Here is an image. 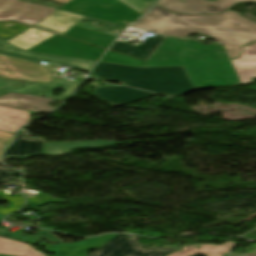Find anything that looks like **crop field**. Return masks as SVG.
<instances>
[{
  "mask_svg": "<svg viewBox=\"0 0 256 256\" xmlns=\"http://www.w3.org/2000/svg\"><path fill=\"white\" fill-rule=\"evenodd\" d=\"M140 21L141 24L132 27L175 37L202 33L214 37L224 46L242 47L256 41V23L231 11L208 16L172 14L156 6Z\"/></svg>",
  "mask_w": 256,
  "mask_h": 256,
  "instance_id": "crop-field-1",
  "label": "crop field"
},
{
  "mask_svg": "<svg viewBox=\"0 0 256 256\" xmlns=\"http://www.w3.org/2000/svg\"><path fill=\"white\" fill-rule=\"evenodd\" d=\"M93 73L129 85L96 88L94 94L115 106L158 93L176 96L193 89L183 67L137 68L100 62Z\"/></svg>",
  "mask_w": 256,
  "mask_h": 256,
  "instance_id": "crop-field-2",
  "label": "crop field"
},
{
  "mask_svg": "<svg viewBox=\"0 0 256 256\" xmlns=\"http://www.w3.org/2000/svg\"><path fill=\"white\" fill-rule=\"evenodd\" d=\"M224 60H228V56L222 45H202L167 37L144 67L184 66L195 89L240 84L230 64H184L186 61Z\"/></svg>",
  "mask_w": 256,
  "mask_h": 256,
  "instance_id": "crop-field-3",
  "label": "crop field"
},
{
  "mask_svg": "<svg viewBox=\"0 0 256 256\" xmlns=\"http://www.w3.org/2000/svg\"><path fill=\"white\" fill-rule=\"evenodd\" d=\"M59 9L122 26L142 16L118 0H72Z\"/></svg>",
  "mask_w": 256,
  "mask_h": 256,
  "instance_id": "crop-field-4",
  "label": "crop field"
},
{
  "mask_svg": "<svg viewBox=\"0 0 256 256\" xmlns=\"http://www.w3.org/2000/svg\"><path fill=\"white\" fill-rule=\"evenodd\" d=\"M28 51L98 61L105 50L55 35Z\"/></svg>",
  "mask_w": 256,
  "mask_h": 256,
  "instance_id": "crop-field-5",
  "label": "crop field"
},
{
  "mask_svg": "<svg viewBox=\"0 0 256 256\" xmlns=\"http://www.w3.org/2000/svg\"><path fill=\"white\" fill-rule=\"evenodd\" d=\"M0 77L43 83L53 80L46 66L6 55H0Z\"/></svg>",
  "mask_w": 256,
  "mask_h": 256,
  "instance_id": "crop-field-6",
  "label": "crop field"
},
{
  "mask_svg": "<svg viewBox=\"0 0 256 256\" xmlns=\"http://www.w3.org/2000/svg\"><path fill=\"white\" fill-rule=\"evenodd\" d=\"M56 10L58 9L33 5L18 0H0V20H16L32 26Z\"/></svg>",
  "mask_w": 256,
  "mask_h": 256,
  "instance_id": "crop-field-7",
  "label": "crop field"
},
{
  "mask_svg": "<svg viewBox=\"0 0 256 256\" xmlns=\"http://www.w3.org/2000/svg\"><path fill=\"white\" fill-rule=\"evenodd\" d=\"M97 250L98 252L91 256H166L170 252L177 251V248L158 249L152 247L142 250L138 249L134 236L118 235Z\"/></svg>",
  "mask_w": 256,
  "mask_h": 256,
  "instance_id": "crop-field-8",
  "label": "crop field"
},
{
  "mask_svg": "<svg viewBox=\"0 0 256 256\" xmlns=\"http://www.w3.org/2000/svg\"><path fill=\"white\" fill-rule=\"evenodd\" d=\"M161 0L158 5L173 13L208 14L220 13L235 5L238 0H218L216 2L206 0Z\"/></svg>",
  "mask_w": 256,
  "mask_h": 256,
  "instance_id": "crop-field-9",
  "label": "crop field"
},
{
  "mask_svg": "<svg viewBox=\"0 0 256 256\" xmlns=\"http://www.w3.org/2000/svg\"><path fill=\"white\" fill-rule=\"evenodd\" d=\"M43 140L32 139L22 130L18 133L15 142L9 146L3 159L8 158H30L40 155L42 152Z\"/></svg>",
  "mask_w": 256,
  "mask_h": 256,
  "instance_id": "crop-field-10",
  "label": "crop field"
},
{
  "mask_svg": "<svg viewBox=\"0 0 256 256\" xmlns=\"http://www.w3.org/2000/svg\"><path fill=\"white\" fill-rule=\"evenodd\" d=\"M12 96H14L15 98H11ZM34 99H37V100H34ZM50 100L52 99L11 93L3 97H0V105L33 111V112H38V111L50 112L53 110L52 107L47 105V103ZM32 107H36L38 110H35Z\"/></svg>",
  "mask_w": 256,
  "mask_h": 256,
  "instance_id": "crop-field-11",
  "label": "crop field"
},
{
  "mask_svg": "<svg viewBox=\"0 0 256 256\" xmlns=\"http://www.w3.org/2000/svg\"><path fill=\"white\" fill-rule=\"evenodd\" d=\"M165 39L166 37L154 35L137 47L117 41L110 49L147 61Z\"/></svg>",
  "mask_w": 256,
  "mask_h": 256,
  "instance_id": "crop-field-12",
  "label": "crop field"
},
{
  "mask_svg": "<svg viewBox=\"0 0 256 256\" xmlns=\"http://www.w3.org/2000/svg\"><path fill=\"white\" fill-rule=\"evenodd\" d=\"M256 44L244 47L239 59L233 60V68L242 84L251 83L256 78Z\"/></svg>",
  "mask_w": 256,
  "mask_h": 256,
  "instance_id": "crop-field-13",
  "label": "crop field"
},
{
  "mask_svg": "<svg viewBox=\"0 0 256 256\" xmlns=\"http://www.w3.org/2000/svg\"><path fill=\"white\" fill-rule=\"evenodd\" d=\"M116 146V143L109 141H86L44 144L42 154L48 156H59L71 153L72 149L102 148Z\"/></svg>",
  "mask_w": 256,
  "mask_h": 256,
  "instance_id": "crop-field-14",
  "label": "crop field"
},
{
  "mask_svg": "<svg viewBox=\"0 0 256 256\" xmlns=\"http://www.w3.org/2000/svg\"><path fill=\"white\" fill-rule=\"evenodd\" d=\"M30 112L0 106V130L13 134L17 130L27 125Z\"/></svg>",
  "mask_w": 256,
  "mask_h": 256,
  "instance_id": "crop-field-15",
  "label": "crop field"
},
{
  "mask_svg": "<svg viewBox=\"0 0 256 256\" xmlns=\"http://www.w3.org/2000/svg\"><path fill=\"white\" fill-rule=\"evenodd\" d=\"M64 36H68L105 48H107L116 38V36L99 33L76 25H74L69 31H67Z\"/></svg>",
  "mask_w": 256,
  "mask_h": 256,
  "instance_id": "crop-field-16",
  "label": "crop field"
},
{
  "mask_svg": "<svg viewBox=\"0 0 256 256\" xmlns=\"http://www.w3.org/2000/svg\"><path fill=\"white\" fill-rule=\"evenodd\" d=\"M235 245V242H227L221 246L217 245H188L184 246L182 251L174 252L168 256H192L196 254H205L207 256H222ZM200 246L201 248H196Z\"/></svg>",
  "mask_w": 256,
  "mask_h": 256,
  "instance_id": "crop-field-17",
  "label": "crop field"
},
{
  "mask_svg": "<svg viewBox=\"0 0 256 256\" xmlns=\"http://www.w3.org/2000/svg\"><path fill=\"white\" fill-rule=\"evenodd\" d=\"M0 254L13 256H45L25 243L0 237Z\"/></svg>",
  "mask_w": 256,
  "mask_h": 256,
  "instance_id": "crop-field-18",
  "label": "crop field"
},
{
  "mask_svg": "<svg viewBox=\"0 0 256 256\" xmlns=\"http://www.w3.org/2000/svg\"><path fill=\"white\" fill-rule=\"evenodd\" d=\"M103 62H110V63H117L123 65H130V66H137L142 67L145 62L133 59L121 54H117L114 52L109 51L101 60Z\"/></svg>",
  "mask_w": 256,
  "mask_h": 256,
  "instance_id": "crop-field-19",
  "label": "crop field"
},
{
  "mask_svg": "<svg viewBox=\"0 0 256 256\" xmlns=\"http://www.w3.org/2000/svg\"><path fill=\"white\" fill-rule=\"evenodd\" d=\"M30 27L17 24L15 22H0V36L3 38H10L18 33H21Z\"/></svg>",
  "mask_w": 256,
  "mask_h": 256,
  "instance_id": "crop-field-20",
  "label": "crop field"
},
{
  "mask_svg": "<svg viewBox=\"0 0 256 256\" xmlns=\"http://www.w3.org/2000/svg\"><path fill=\"white\" fill-rule=\"evenodd\" d=\"M26 196L29 199L28 205L32 207L31 209H35L43 204L66 202V201H58V200L46 195L45 193H41L38 196H32V195L26 194Z\"/></svg>",
  "mask_w": 256,
  "mask_h": 256,
  "instance_id": "crop-field-21",
  "label": "crop field"
},
{
  "mask_svg": "<svg viewBox=\"0 0 256 256\" xmlns=\"http://www.w3.org/2000/svg\"><path fill=\"white\" fill-rule=\"evenodd\" d=\"M0 197L10 200V204H12V207L9 209H0V214H4V215H7L9 213L19 210L20 208H22L23 204L25 203V200L21 195L13 196V197H6L2 193V191H0Z\"/></svg>",
  "mask_w": 256,
  "mask_h": 256,
  "instance_id": "crop-field-22",
  "label": "crop field"
},
{
  "mask_svg": "<svg viewBox=\"0 0 256 256\" xmlns=\"http://www.w3.org/2000/svg\"><path fill=\"white\" fill-rule=\"evenodd\" d=\"M121 2L125 3L129 7L133 8L137 12L143 14L146 10H148L151 6H153V3L157 0H151L152 3L147 0H120Z\"/></svg>",
  "mask_w": 256,
  "mask_h": 256,
  "instance_id": "crop-field-23",
  "label": "crop field"
},
{
  "mask_svg": "<svg viewBox=\"0 0 256 256\" xmlns=\"http://www.w3.org/2000/svg\"><path fill=\"white\" fill-rule=\"evenodd\" d=\"M13 134L0 131V157L3 149L12 141Z\"/></svg>",
  "mask_w": 256,
  "mask_h": 256,
  "instance_id": "crop-field-24",
  "label": "crop field"
},
{
  "mask_svg": "<svg viewBox=\"0 0 256 256\" xmlns=\"http://www.w3.org/2000/svg\"><path fill=\"white\" fill-rule=\"evenodd\" d=\"M15 174H20V172L0 168V183L10 182Z\"/></svg>",
  "mask_w": 256,
  "mask_h": 256,
  "instance_id": "crop-field-25",
  "label": "crop field"
},
{
  "mask_svg": "<svg viewBox=\"0 0 256 256\" xmlns=\"http://www.w3.org/2000/svg\"><path fill=\"white\" fill-rule=\"evenodd\" d=\"M226 52H228L229 58L238 57V54L241 52V48H232V47H224Z\"/></svg>",
  "mask_w": 256,
  "mask_h": 256,
  "instance_id": "crop-field-26",
  "label": "crop field"
},
{
  "mask_svg": "<svg viewBox=\"0 0 256 256\" xmlns=\"http://www.w3.org/2000/svg\"><path fill=\"white\" fill-rule=\"evenodd\" d=\"M186 63H230L229 60L225 62H186Z\"/></svg>",
  "mask_w": 256,
  "mask_h": 256,
  "instance_id": "crop-field-27",
  "label": "crop field"
},
{
  "mask_svg": "<svg viewBox=\"0 0 256 256\" xmlns=\"http://www.w3.org/2000/svg\"><path fill=\"white\" fill-rule=\"evenodd\" d=\"M54 1H57V2H60V3L66 4V3H68V2L71 1V0H54Z\"/></svg>",
  "mask_w": 256,
  "mask_h": 256,
  "instance_id": "crop-field-28",
  "label": "crop field"
},
{
  "mask_svg": "<svg viewBox=\"0 0 256 256\" xmlns=\"http://www.w3.org/2000/svg\"><path fill=\"white\" fill-rule=\"evenodd\" d=\"M252 1H256V0H239V2H252Z\"/></svg>",
  "mask_w": 256,
  "mask_h": 256,
  "instance_id": "crop-field-29",
  "label": "crop field"
},
{
  "mask_svg": "<svg viewBox=\"0 0 256 256\" xmlns=\"http://www.w3.org/2000/svg\"><path fill=\"white\" fill-rule=\"evenodd\" d=\"M230 256H256V255H230Z\"/></svg>",
  "mask_w": 256,
  "mask_h": 256,
  "instance_id": "crop-field-30",
  "label": "crop field"
},
{
  "mask_svg": "<svg viewBox=\"0 0 256 256\" xmlns=\"http://www.w3.org/2000/svg\"><path fill=\"white\" fill-rule=\"evenodd\" d=\"M0 256H4V255H0Z\"/></svg>",
  "mask_w": 256,
  "mask_h": 256,
  "instance_id": "crop-field-31",
  "label": "crop field"
}]
</instances>
